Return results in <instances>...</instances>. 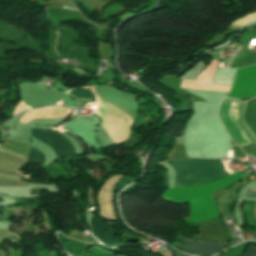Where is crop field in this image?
Listing matches in <instances>:
<instances>
[{
	"label": "crop field",
	"instance_id": "8a807250",
	"mask_svg": "<svg viewBox=\"0 0 256 256\" xmlns=\"http://www.w3.org/2000/svg\"><path fill=\"white\" fill-rule=\"evenodd\" d=\"M242 178H244V176L236 173L210 184L169 189L161 198L174 203L189 202L191 206L190 217L184 218L187 223L217 218L218 216L214 205V199L210 192Z\"/></svg>",
	"mask_w": 256,
	"mask_h": 256
},
{
	"label": "crop field",
	"instance_id": "ac0d7876",
	"mask_svg": "<svg viewBox=\"0 0 256 256\" xmlns=\"http://www.w3.org/2000/svg\"><path fill=\"white\" fill-rule=\"evenodd\" d=\"M167 162L171 164L176 171L175 187L209 183L227 176L220 161L212 162L186 159Z\"/></svg>",
	"mask_w": 256,
	"mask_h": 256
},
{
	"label": "crop field",
	"instance_id": "34b2d1b8",
	"mask_svg": "<svg viewBox=\"0 0 256 256\" xmlns=\"http://www.w3.org/2000/svg\"><path fill=\"white\" fill-rule=\"evenodd\" d=\"M240 103L224 99L220 108V118L224 123L230 137L241 147L252 144L243 128L241 127L238 119V110Z\"/></svg>",
	"mask_w": 256,
	"mask_h": 256
},
{
	"label": "crop field",
	"instance_id": "412701ff",
	"mask_svg": "<svg viewBox=\"0 0 256 256\" xmlns=\"http://www.w3.org/2000/svg\"><path fill=\"white\" fill-rule=\"evenodd\" d=\"M256 96V65L237 69L228 97L235 99Z\"/></svg>",
	"mask_w": 256,
	"mask_h": 256
},
{
	"label": "crop field",
	"instance_id": "f4fd0767",
	"mask_svg": "<svg viewBox=\"0 0 256 256\" xmlns=\"http://www.w3.org/2000/svg\"><path fill=\"white\" fill-rule=\"evenodd\" d=\"M31 136L49 145L56 152L58 159L75 154L73 145L51 129H32Z\"/></svg>",
	"mask_w": 256,
	"mask_h": 256
},
{
	"label": "crop field",
	"instance_id": "dd49c442",
	"mask_svg": "<svg viewBox=\"0 0 256 256\" xmlns=\"http://www.w3.org/2000/svg\"><path fill=\"white\" fill-rule=\"evenodd\" d=\"M219 61L212 60L207 68L195 79V81L183 80L180 87L196 89V90H211L228 92L230 86L212 84V79L215 74L216 67Z\"/></svg>",
	"mask_w": 256,
	"mask_h": 256
},
{
	"label": "crop field",
	"instance_id": "e52e79f7",
	"mask_svg": "<svg viewBox=\"0 0 256 256\" xmlns=\"http://www.w3.org/2000/svg\"><path fill=\"white\" fill-rule=\"evenodd\" d=\"M123 175L110 176L103 184L97 201L100 208V216L105 219H117L115 209L112 203L113 187Z\"/></svg>",
	"mask_w": 256,
	"mask_h": 256
},
{
	"label": "crop field",
	"instance_id": "d8731c3e",
	"mask_svg": "<svg viewBox=\"0 0 256 256\" xmlns=\"http://www.w3.org/2000/svg\"><path fill=\"white\" fill-rule=\"evenodd\" d=\"M90 224L95 230L99 239L106 245L110 247H118L122 246V244L118 241L115 236V231L111 228L107 227L103 223H101L97 218L93 215L90 217Z\"/></svg>",
	"mask_w": 256,
	"mask_h": 256
},
{
	"label": "crop field",
	"instance_id": "5a996713",
	"mask_svg": "<svg viewBox=\"0 0 256 256\" xmlns=\"http://www.w3.org/2000/svg\"><path fill=\"white\" fill-rule=\"evenodd\" d=\"M190 252L196 253L198 256H210L221 250L214 251L219 249L227 244H211V243H203V242H193L188 240L184 244Z\"/></svg>",
	"mask_w": 256,
	"mask_h": 256
},
{
	"label": "crop field",
	"instance_id": "3316defc",
	"mask_svg": "<svg viewBox=\"0 0 256 256\" xmlns=\"http://www.w3.org/2000/svg\"><path fill=\"white\" fill-rule=\"evenodd\" d=\"M245 121L256 134V107L254 99L248 101L247 109L245 112Z\"/></svg>",
	"mask_w": 256,
	"mask_h": 256
},
{
	"label": "crop field",
	"instance_id": "28ad6ade",
	"mask_svg": "<svg viewBox=\"0 0 256 256\" xmlns=\"http://www.w3.org/2000/svg\"><path fill=\"white\" fill-rule=\"evenodd\" d=\"M68 93L74 97H78V98L85 99V100H94L95 101L94 94L91 91H89L88 89L78 88V89L71 90Z\"/></svg>",
	"mask_w": 256,
	"mask_h": 256
},
{
	"label": "crop field",
	"instance_id": "d1516ede",
	"mask_svg": "<svg viewBox=\"0 0 256 256\" xmlns=\"http://www.w3.org/2000/svg\"><path fill=\"white\" fill-rule=\"evenodd\" d=\"M255 202L246 201L244 204V212L249 225L256 227V220L252 212Z\"/></svg>",
	"mask_w": 256,
	"mask_h": 256
},
{
	"label": "crop field",
	"instance_id": "22f410ed",
	"mask_svg": "<svg viewBox=\"0 0 256 256\" xmlns=\"http://www.w3.org/2000/svg\"><path fill=\"white\" fill-rule=\"evenodd\" d=\"M28 161L31 163H36V164H43L44 156L38 150L31 148Z\"/></svg>",
	"mask_w": 256,
	"mask_h": 256
},
{
	"label": "crop field",
	"instance_id": "cbeb9de0",
	"mask_svg": "<svg viewBox=\"0 0 256 256\" xmlns=\"http://www.w3.org/2000/svg\"><path fill=\"white\" fill-rule=\"evenodd\" d=\"M243 256H256V247L250 245L247 252Z\"/></svg>",
	"mask_w": 256,
	"mask_h": 256
},
{
	"label": "crop field",
	"instance_id": "5142ce71",
	"mask_svg": "<svg viewBox=\"0 0 256 256\" xmlns=\"http://www.w3.org/2000/svg\"><path fill=\"white\" fill-rule=\"evenodd\" d=\"M247 197H255L256 198V189L250 188L247 193Z\"/></svg>",
	"mask_w": 256,
	"mask_h": 256
}]
</instances>
